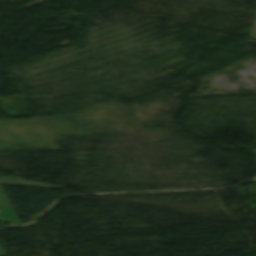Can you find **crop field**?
Returning <instances> with one entry per match:
<instances>
[{"instance_id": "1", "label": "crop field", "mask_w": 256, "mask_h": 256, "mask_svg": "<svg viewBox=\"0 0 256 256\" xmlns=\"http://www.w3.org/2000/svg\"><path fill=\"white\" fill-rule=\"evenodd\" d=\"M0 221L19 224L4 194L0 189Z\"/></svg>"}]
</instances>
